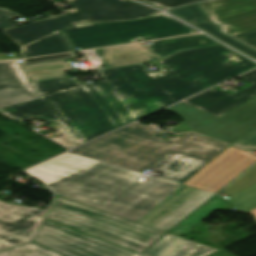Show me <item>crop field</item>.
Instances as JSON below:
<instances>
[{
	"label": "crop field",
	"instance_id": "8a807250",
	"mask_svg": "<svg viewBox=\"0 0 256 256\" xmlns=\"http://www.w3.org/2000/svg\"><path fill=\"white\" fill-rule=\"evenodd\" d=\"M222 45L178 51L154 74L140 63L100 70L104 80L87 85L66 76L32 81L40 98L0 112L58 122L80 145L256 67Z\"/></svg>",
	"mask_w": 256,
	"mask_h": 256
},
{
	"label": "crop field",
	"instance_id": "ac0d7876",
	"mask_svg": "<svg viewBox=\"0 0 256 256\" xmlns=\"http://www.w3.org/2000/svg\"><path fill=\"white\" fill-rule=\"evenodd\" d=\"M26 172L55 194L137 221L180 184L65 153Z\"/></svg>",
	"mask_w": 256,
	"mask_h": 256
},
{
	"label": "crop field",
	"instance_id": "34b2d1b8",
	"mask_svg": "<svg viewBox=\"0 0 256 256\" xmlns=\"http://www.w3.org/2000/svg\"><path fill=\"white\" fill-rule=\"evenodd\" d=\"M255 162L256 155L229 146L138 222L167 232Z\"/></svg>",
	"mask_w": 256,
	"mask_h": 256
},
{
	"label": "crop field",
	"instance_id": "412701ff",
	"mask_svg": "<svg viewBox=\"0 0 256 256\" xmlns=\"http://www.w3.org/2000/svg\"><path fill=\"white\" fill-rule=\"evenodd\" d=\"M78 12L4 30L22 47L23 58L73 51L59 30L75 22L120 20L142 17L158 11L125 0H69ZM18 45V46H19Z\"/></svg>",
	"mask_w": 256,
	"mask_h": 256
},
{
	"label": "crop field",
	"instance_id": "f4fd0767",
	"mask_svg": "<svg viewBox=\"0 0 256 256\" xmlns=\"http://www.w3.org/2000/svg\"><path fill=\"white\" fill-rule=\"evenodd\" d=\"M46 219L140 253L164 232L56 196Z\"/></svg>",
	"mask_w": 256,
	"mask_h": 256
},
{
	"label": "crop field",
	"instance_id": "dd49c442",
	"mask_svg": "<svg viewBox=\"0 0 256 256\" xmlns=\"http://www.w3.org/2000/svg\"><path fill=\"white\" fill-rule=\"evenodd\" d=\"M160 132L133 123L71 152L142 172L171 152L180 138L163 141L154 137Z\"/></svg>",
	"mask_w": 256,
	"mask_h": 256
},
{
	"label": "crop field",
	"instance_id": "e52e79f7",
	"mask_svg": "<svg viewBox=\"0 0 256 256\" xmlns=\"http://www.w3.org/2000/svg\"><path fill=\"white\" fill-rule=\"evenodd\" d=\"M197 32L164 13L133 21L79 24L61 30L69 45L81 50L134 42L137 38L146 41Z\"/></svg>",
	"mask_w": 256,
	"mask_h": 256
},
{
	"label": "crop field",
	"instance_id": "d8731c3e",
	"mask_svg": "<svg viewBox=\"0 0 256 256\" xmlns=\"http://www.w3.org/2000/svg\"><path fill=\"white\" fill-rule=\"evenodd\" d=\"M33 241L66 256H142L45 220Z\"/></svg>",
	"mask_w": 256,
	"mask_h": 256
},
{
	"label": "crop field",
	"instance_id": "5a996713",
	"mask_svg": "<svg viewBox=\"0 0 256 256\" xmlns=\"http://www.w3.org/2000/svg\"><path fill=\"white\" fill-rule=\"evenodd\" d=\"M199 4L230 36L256 29V0H208Z\"/></svg>",
	"mask_w": 256,
	"mask_h": 256
},
{
	"label": "crop field",
	"instance_id": "3316defc",
	"mask_svg": "<svg viewBox=\"0 0 256 256\" xmlns=\"http://www.w3.org/2000/svg\"><path fill=\"white\" fill-rule=\"evenodd\" d=\"M44 212L0 201V249L29 241Z\"/></svg>",
	"mask_w": 256,
	"mask_h": 256
},
{
	"label": "crop field",
	"instance_id": "28ad6ade",
	"mask_svg": "<svg viewBox=\"0 0 256 256\" xmlns=\"http://www.w3.org/2000/svg\"><path fill=\"white\" fill-rule=\"evenodd\" d=\"M240 77L254 85L235 95L210 89L183 102L219 117L256 96V70Z\"/></svg>",
	"mask_w": 256,
	"mask_h": 256
},
{
	"label": "crop field",
	"instance_id": "d1516ede",
	"mask_svg": "<svg viewBox=\"0 0 256 256\" xmlns=\"http://www.w3.org/2000/svg\"><path fill=\"white\" fill-rule=\"evenodd\" d=\"M206 161L171 152L158 163H154L149 170L162 172V178L182 184L192 174L198 171Z\"/></svg>",
	"mask_w": 256,
	"mask_h": 256
},
{
	"label": "crop field",
	"instance_id": "22f410ed",
	"mask_svg": "<svg viewBox=\"0 0 256 256\" xmlns=\"http://www.w3.org/2000/svg\"><path fill=\"white\" fill-rule=\"evenodd\" d=\"M228 146L197 135L187 134L177 143L173 151L209 162Z\"/></svg>",
	"mask_w": 256,
	"mask_h": 256
},
{
	"label": "crop field",
	"instance_id": "cbeb9de0",
	"mask_svg": "<svg viewBox=\"0 0 256 256\" xmlns=\"http://www.w3.org/2000/svg\"><path fill=\"white\" fill-rule=\"evenodd\" d=\"M218 44L219 43L214 39L203 34H198L182 38L154 41L152 42L150 51L159 59H162L178 50Z\"/></svg>",
	"mask_w": 256,
	"mask_h": 256
},
{
	"label": "crop field",
	"instance_id": "5142ce71",
	"mask_svg": "<svg viewBox=\"0 0 256 256\" xmlns=\"http://www.w3.org/2000/svg\"><path fill=\"white\" fill-rule=\"evenodd\" d=\"M200 244L167 233L142 255L145 256H187Z\"/></svg>",
	"mask_w": 256,
	"mask_h": 256
},
{
	"label": "crop field",
	"instance_id": "d9b57169",
	"mask_svg": "<svg viewBox=\"0 0 256 256\" xmlns=\"http://www.w3.org/2000/svg\"><path fill=\"white\" fill-rule=\"evenodd\" d=\"M230 208L231 207L228 202L225 203L223 202L222 198L214 195L194 213L171 229L169 233L182 237L186 232L192 229L215 210H229Z\"/></svg>",
	"mask_w": 256,
	"mask_h": 256
},
{
	"label": "crop field",
	"instance_id": "733c2abd",
	"mask_svg": "<svg viewBox=\"0 0 256 256\" xmlns=\"http://www.w3.org/2000/svg\"><path fill=\"white\" fill-rule=\"evenodd\" d=\"M104 55L111 66L155 58L140 43L108 48Z\"/></svg>",
	"mask_w": 256,
	"mask_h": 256
},
{
	"label": "crop field",
	"instance_id": "4a817a6b",
	"mask_svg": "<svg viewBox=\"0 0 256 256\" xmlns=\"http://www.w3.org/2000/svg\"><path fill=\"white\" fill-rule=\"evenodd\" d=\"M28 81L65 75L73 69L66 60L20 67Z\"/></svg>",
	"mask_w": 256,
	"mask_h": 256
},
{
	"label": "crop field",
	"instance_id": "bc2a9ffb",
	"mask_svg": "<svg viewBox=\"0 0 256 256\" xmlns=\"http://www.w3.org/2000/svg\"><path fill=\"white\" fill-rule=\"evenodd\" d=\"M38 98L30 83L0 89V106Z\"/></svg>",
	"mask_w": 256,
	"mask_h": 256
},
{
	"label": "crop field",
	"instance_id": "214f88e0",
	"mask_svg": "<svg viewBox=\"0 0 256 256\" xmlns=\"http://www.w3.org/2000/svg\"><path fill=\"white\" fill-rule=\"evenodd\" d=\"M28 82L15 60L0 61V88Z\"/></svg>",
	"mask_w": 256,
	"mask_h": 256
},
{
	"label": "crop field",
	"instance_id": "92a150f3",
	"mask_svg": "<svg viewBox=\"0 0 256 256\" xmlns=\"http://www.w3.org/2000/svg\"><path fill=\"white\" fill-rule=\"evenodd\" d=\"M201 30H203L204 32L214 36L215 38L227 43L228 45L238 49L239 51L251 56L252 58L256 59V52L246 46H244L243 44L233 40L232 38L222 34L219 31V26L209 23V22H203V23H195V24H191ZM250 57V58H251Z\"/></svg>",
	"mask_w": 256,
	"mask_h": 256
},
{
	"label": "crop field",
	"instance_id": "dafd665d",
	"mask_svg": "<svg viewBox=\"0 0 256 256\" xmlns=\"http://www.w3.org/2000/svg\"><path fill=\"white\" fill-rule=\"evenodd\" d=\"M0 256H64L37 243H28L0 252Z\"/></svg>",
	"mask_w": 256,
	"mask_h": 256
},
{
	"label": "crop field",
	"instance_id": "00972430",
	"mask_svg": "<svg viewBox=\"0 0 256 256\" xmlns=\"http://www.w3.org/2000/svg\"><path fill=\"white\" fill-rule=\"evenodd\" d=\"M170 12L184 18L189 22H199L210 20L209 16L204 12V10L199 6L198 3L185 6L182 8L170 10Z\"/></svg>",
	"mask_w": 256,
	"mask_h": 256
},
{
	"label": "crop field",
	"instance_id": "a9b5d70f",
	"mask_svg": "<svg viewBox=\"0 0 256 256\" xmlns=\"http://www.w3.org/2000/svg\"><path fill=\"white\" fill-rule=\"evenodd\" d=\"M145 2H148L150 4H153L155 6L161 7L163 9L171 8V7H176V6H181L201 0H142Z\"/></svg>",
	"mask_w": 256,
	"mask_h": 256
},
{
	"label": "crop field",
	"instance_id": "4177f3b9",
	"mask_svg": "<svg viewBox=\"0 0 256 256\" xmlns=\"http://www.w3.org/2000/svg\"><path fill=\"white\" fill-rule=\"evenodd\" d=\"M73 57H76L74 53L41 57V58H33V59H25V60H22L23 63H21L19 65L23 66V65H29V64H36V63H42V62L68 59V58H73Z\"/></svg>",
	"mask_w": 256,
	"mask_h": 256
},
{
	"label": "crop field",
	"instance_id": "730fd06b",
	"mask_svg": "<svg viewBox=\"0 0 256 256\" xmlns=\"http://www.w3.org/2000/svg\"><path fill=\"white\" fill-rule=\"evenodd\" d=\"M18 17L21 16L0 8V30L15 27L16 25L10 19Z\"/></svg>",
	"mask_w": 256,
	"mask_h": 256
},
{
	"label": "crop field",
	"instance_id": "eef30255",
	"mask_svg": "<svg viewBox=\"0 0 256 256\" xmlns=\"http://www.w3.org/2000/svg\"><path fill=\"white\" fill-rule=\"evenodd\" d=\"M232 145L243 147V148H253L256 149V130L243 138L237 140Z\"/></svg>",
	"mask_w": 256,
	"mask_h": 256
},
{
	"label": "crop field",
	"instance_id": "ae1a2a85",
	"mask_svg": "<svg viewBox=\"0 0 256 256\" xmlns=\"http://www.w3.org/2000/svg\"><path fill=\"white\" fill-rule=\"evenodd\" d=\"M233 38L247 44L248 46L256 49V30L233 36Z\"/></svg>",
	"mask_w": 256,
	"mask_h": 256
},
{
	"label": "crop field",
	"instance_id": "d3111659",
	"mask_svg": "<svg viewBox=\"0 0 256 256\" xmlns=\"http://www.w3.org/2000/svg\"><path fill=\"white\" fill-rule=\"evenodd\" d=\"M60 127V125H59ZM66 132V131H65ZM63 129L60 127V131L59 133L54 137L52 138L53 140L69 147V148H73L75 146H77V144L71 139V137L66 134Z\"/></svg>",
	"mask_w": 256,
	"mask_h": 256
},
{
	"label": "crop field",
	"instance_id": "750c4746",
	"mask_svg": "<svg viewBox=\"0 0 256 256\" xmlns=\"http://www.w3.org/2000/svg\"><path fill=\"white\" fill-rule=\"evenodd\" d=\"M216 250H213L211 248L205 247L203 245H201L200 247H198L196 250H194L191 254H189L188 256H206L212 252H214Z\"/></svg>",
	"mask_w": 256,
	"mask_h": 256
},
{
	"label": "crop field",
	"instance_id": "bd1437ed",
	"mask_svg": "<svg viewBox=\"0 0 256 256\" xmlns=\"http://www.w3.org/2000/svg\"><path fill=\"white\" fill-rule=\"evenodd\" d=\"M209 256H233L232 254H230L229 252L225 251L224 249H221Z\"/></svg>",
	"mask_w": 256,
	"mask_h": 256
},
{
	"label": "crop field",
	"instance_id": "1d83c4d3",
	"mask_svg": "<svg viewBox=\"0 0 256 256\" xmlns=\"http://www.w3.org/2000/svg\"><path fill=\"white\" fill-rule=\"evenodd\" d=\"M70 19V18H69ZM71 20V19H70ZM72 21V20H71ZM74 24H77V23H75L74 21H72Z\"/></svg>",
	"mask_w": 256,
	"mask_h": 256
}]
</instances>
